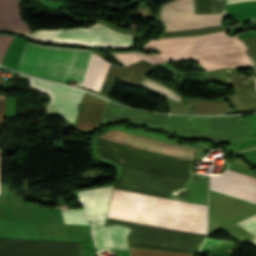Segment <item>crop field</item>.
Instances as JSON below:
<instances>
[{"label":"crop field","mask_w":256,"mask_h":256,"mask_svg":"<svg viewBox=\"0 0 256 256\" xmlns=\"http://www.w3.org/2000/svg\"><path fill=\"white\" fill-rule=\"evenodd\" d=\"M100 139L191 161L195 150L154 139L110 130ZM111 200L207 218L206 206L113 189ZM111 201L109 209L207 228V219ZM109 210L108 216L192 233L206 234L205 228L168 222ZM130 256H189L130 249Z\"/></svg>","instance_id":"obj_1"},{"label":"crop field","mask_w":256,"mask_h":256,"mask_svg":"<svg viewBox=\"0 0 256 256\" xmlns=\"http://www.w3.org/2000/svg\"><path fill=\"white\" fill-rule=\"evenodd\" d=\"M144 48L159 52L157 55L168 61L184 58L195 60L204 71L252 64L244 44L236 37L227 36L226 31L195 37L150 40ZM114 55L125 65L141 59L154 64L166 62L155 54Z\"/></svg>","instance_id":"obj_2"},{"label":"crop field","mask_w":256,"mask_h":256,"mask_svg":"<svg viewBox=\"0 0 256 256\" xmlns=\"http://www.w3.org/2000/svg\"><path fill=\"white\" fill-rule=\"evenodd\" d=\"M92 51L38 46L26 43L18 71L66 84L78 80L80 87Z\"/></svg>","instance_id":"obj_3"},{"label":"crop field","mask_w":256,"mask_h":256,"mask_svg":"<svg viewBox=\"0 0 256 256\" xmlns=\"http://www.w3.org/2000/svg\"><path fill=\"white\" fill-rule=\"evenodd\" d=\"M111 188L112 186L78 192L81 206L92 225L97 251L109 248L128 250L126 236L129 229L120 226L103 227Z\"/></svg>","instance_id":"obj_4"},{"label":"crop field","mask_w":256,"mask_h":256,"mask_svg":"<svg viewBox=\"0 0 256 256\" xmlns=\"http://www.w3.org/2000/svg\"><path fill=\"white\" fill-rule=\"evenodd\" d=\"M167 130L231 143L253 132L247 119L235 117L185 118L171 116Z\"/></svg>","instance_id":"obj_5"},{"label":"crop field","mask_w":256,"mask_h":256,"mask_svg":"<svg viewBox=\"0 0 256 256\" xmlns=\"http://www.w3.org/2000/svg\"><path fill=\"white\" fill-rule=\"evenodd\" d=\"M223 14L216 15H193V0H178L165 5L161 11V18L167 26V32L196 29L220 25ZM221 26L171 32L166 33L165 37L186 36L202 34L217 30H222Z\"/></svg>","instance_id":"obj_6"},{"label":"crop field","mask_w":256,"mask_h":256,"mask_svg":"<svg viewBox=\"0 0 256 256\" xmlns=\"http://www.w3.org/2000/svg\"><path fill=\"white\" fill-rule=\"evenodd\" d=\"M27 35L41 40L110 47H130L132 37L119 34L99 23L88 29H45L36 30Z\"/></svg>","instance_id":"obj_7"},{"label":"crop field","mask_w":256,"mask_h":256,"mask_svg":"<svg viewBox=\"0 0 256 256\" xmlns=\"http://www.w3.org/2000/svg\"><path fill=\"white\" fill-rule=\"evenodd\" d=\"M30 85L32 88L45 91L50 95L52 101L47 106L48 112L61 115L72 123L75 122L82 91L34 79H30Z\"/></svg>","instance_id":"obj_8"},{"label":"crop field","mask_w":256,"mask_h":256,"mask_svg":"<svg viewBox=\"0 0 256 256\" xmlns=\"http://www.w3.org/2000/svg\"><path fill=\"white\" fill-rule=\"evenodd\" d=\"M210 189L256 202V178L232 170L210 176Z\"/></svg>","instance_id":"obj_9"},{"label":"crop field","mask_w":256,"mask_h":256,"mask_svg":"<svg viewBox=\"0 0 256 256\" xmlns=\"http://www.w3.org/2000/svg\"><path fill=\"white\" fill-rule=\"evenodd\" d=\"M153 65L154 64L144 60L126 67H118L111 64L99 95L107 98L112 90L116 78L138 86L140 81L147 75Z\"/></svg>","instance_id":"obj_10"},{"label":"crop field","mask_w":256,"mask_h":256,"mask_svg":"<svg viewBox=\"0 0 256 256\" xmlns=\"http://www.w3.org/2000/svg\"><path fill=\"white\" fill-rule=\"evenodd\" d=\"M107 102L85 93L81 102L76 127L83 131H92L100 127Z\"/></svg>","instance_id":"obj_11"},{"label":"crop field","mask_w":256,"mask_h":256,"mask_svg":"<svg viewBox=\"0 0 256 256\" xmlns=\"http://www.w3.org/2000/svg\"><path fill=\"white\" fill-rule=\"evenodd\" d=\"M104 118L111 121L128 120L132 122L146 123L164 127H166L167 124V116L139 112L112 104L110 102L106 109Z\"/></svg>","instance_id":"obj_12"},{"label":"crop field","mask_w":256,"mask_h":256,"mask_svg":"<svg viewBox=\"0 0 256 256\" xmlns=\"http://www.w3.org/2000/svg\"><path fill=\"white\" fill-rule=\"evenodd\" d=\"M185 97L187 112L193 114H225L233 112L225 99L206 100L193 97Z\"/></svg>","instance_id":"obj_13"},{"label":"crop field","mask_w":256,"mask_h":256,"mask_svg":"<svg viewBox=\"0 0 256 256\" xmlns=\"http://www.w3.org/2000/svg\"><path fill=\"white\" fill-rule=\"evenodd\" d=\"M109 65L103 58L92 54L82 85L87 89L99 91Z\"/></svg>","instance_id":"obj_14"},{"label":"crop field","mask_w":256,"mask_h":256,"mask_svg":"<svg viewBox=\"0 0 256 256\" xmlns=\"http://www.w3.org/2000/svg\"><path fill=\"white\" fill-rule=\"evenodd\" d=\"M229 80L237 90L245 109H256L254 78H244L229 69Z\"/></svg>","instance_id":"obj_15"},{"label":"crop field","mask_w":256,"mask_h":256,"mask_svg":"<svg viewBox=\"0 0 256 256\" xmlns=\"http://www.w3.org/2000/svg\"><path fill=\"white\" fill-rule=\"evenodd\" d=\"M0 29L28 31L18 16V0H0Z\"/></svg>","instance_id":"obj_16"},{"label":"crop field","mask_w":256,"mask_h":256,"mask_svg":"<svg viewBox=\"0 0 256 256\" xmlns=\"http://www.w3.org/2000/svg\"><path fill=\"white\" fill-rule=\"evenodd\" d=\"M65 224H89L82 209H61Z\"/></svg>","instance_id":"obj_17"},{"label":"crop field","mask_w":256,"mask_h":256,"mask_svg":"<svg viewBox=\"0 0 256 256\" xmlns=\"http://www.w3.org/2000/svg\"><path fill=\"white\" fill-rule=\"evenodd\" d=\"M143 85H145V86H147L149 88H152V89H154V90H156V91H158V92H160V93H162V94H164L166 96H169V97H171L173 99H176L178 101L180 99V97L176 96L175 94H173L168 89H166V88H164L162 86H159V85H157V84H155V83H153V82H151V81H149L147 79H145V81L143 82Z\"/></svg>","instance_id":"obj_18"},{"label":"crop field","mask_w":256,"mask_h":256,"mask_svg":"<svg viewBox=\"0 0 256 256\" xmlns=\"http://www.w3.org/2000/svg\"><path fill=\"white\" fill-rule=\"evenodd\" d=\"M244 41V43L246 44L250 54H251V57L253 59V62L255 64V72H256V36L254 37H248V38H244V39H241Z\"/></svg>","instance_id":"obj_19"},{"label":"crop field","mask_w":256,"mask_h":256,"mask_svg":"<svg viewBox=\"0 0 256 256\" xmlns=\"http://www.w3.org/2000/svg\"><path fill=\"white\" fill-rule=\"evenodd\" d=\"M240 226H242L243 228H245L247 231H249L250 233H252L253 235L256 236V221L254 219H252L251 217L237 223ZM256 243V237L251 239Z\"/></svg>","instance_id":"obj_20"},{"label":"crop field","mask_w":256,"mask_h":256,"mask_svg":"<svg viewBox=\"0 0 256 256\" xmlns=\"http://www.w3.org/2000/svg\"><path fill=\"white\" fill-rule=\"evenodd\" d=\"M13 36H2L0 35V61L5 54L8 46L10 45Z\"/></svg>","instance_id":"obj_21"},{"label":"crop field","mask_w":256,"mask_h":256,"mask_svg":"<svg viewBox=\"0 0 256 256\" xmlns=\"http://www.w3.org/2000/svg\"><path fill=\"white\" fill-rule=\"evenodd\" d=\"M4 96L0 95V128L2 123V116H3V107H4Z\"/></svg>","instance_id":"obj_22"},{"label":"crop field","mask_w":256,"mask_h":256,"mask_svg":"<svg viewBox=\"0 0 256 256\" xmlns=\"http://www.w3.org/2000/svg\"><path fill=\"white\" fill-rule=\"evenodd\" d=\"M237 1H251V0H227L228 4L233 3V2H237Z\"/></svg>","instance_id":"obj_23"}]
</instances>
